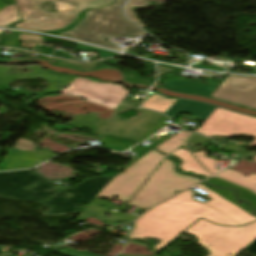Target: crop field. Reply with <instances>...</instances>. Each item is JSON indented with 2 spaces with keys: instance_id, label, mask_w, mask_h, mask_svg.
Wrapping results in <instances>:
<instances>
[{
  "instance_id": "crop-field-1",
  "label": "crop field",
  "mask_w": 256,
  "mask_h": 256,
  "mask_svg": "<svg viewBox=\"0 0 256 256\" xmlns=\"http://www.w3.org/2000/svg\"><path fill=\"white\" fill-rule=\"evenodd\" d=\"M196 187L208 192L213 200L205 204L196 202L187 190L136 220V227L129 238L160 239L161 243L154 247L158 252L200 217L228 226H240L256 220L204 186L199 184Z\"/></svg>"
},
{
  "instance_id": "crop-field-2",
  "label": "crop field",
  "mask_w": 256,
  "mask_h": 256,
  "mask_svg": "<svg viewBox=\"0 0 256 256\" xmlns=\"http://www.w3.org/2000/svg\"><path fill=\"white\" fill-rule=\"evenodd\" d=\"M125 1L117 0L112 5L88 11L86 18L76 28L58 35L122 51L121 48L107 43L103 38L145 34L122 15L121 8Z\"/></svg>"
},
{
  "instance_id": "crop-field-3",
  "label": "crop field",
  "mask_w": 256,
  "mask_h": 256,
  "mask_svg": "<svg viewBox=\"0 0 256 256\" xmlns=\"http://www.w3.org/2000/svg\"><path fill=\"white\" fill-rule=\"evenodd\" d=\"M194 235L210 256H235L256 238V222L242 227H222L202 219L186 231Z\"/></svg>"
},
{
  "instance_id": "crop-field-4",
  "label": "crop field",
  "mask_w": 256,
  "mask_h": 256,
  "mask_svg": "<svg viewBox=\"0 0 256 256\" xmlns=\"http://www.w3.org/2000/svg\"><path fill=\"white\" fill-rule=\"evenodd\" d=\"M198 178L180 175L174 170V164L167 158L157 171L144 184L128 203L142 208H149L197 182Z\"/></svg>"
},
{
  "instance_id": "crop-field-5",
  "label": "crop field",
  "mask_w": 256,
  "mask_h": 256,
  "mask_svg": "<svg viewBox=\"0 0 256 256\" xmlns=\"http://www.w3.org/2000/svg\"><path fill=\"white\" fill-rule=\"evenodd\" d=\"M163 157L155 150L149 152L125 169V173L116 176L96 198L111 199L119 196L117 200L127 202Z\"/></svg>"
},
{
  "instance_id": "crop-field-6",
  "label": "crop field",
  "mask_w": 256,
  "mask_h": 256,
  "mask_svg": "<svg viewBox=\"0 0 256 256\" xmlns=\"http://www.w3.org/2000/svg\"><path fill=\"white\" fill-rule=\"evenodd\" d=\"M37 182L42 183L32 190L25 189L27 185ZM59 189L32 170L0 173V199L34 202L46 199Z\"/></svg>"
},
{
  "instance_id": "crop-field-7",
  "label": "crop field",
  "mask_w": 256,
  "mask_h": 256,
  "mask_svg": "<svg viewBox=\"0 0 256 256\" xmlns=\"http://www.w3.org/2000/svg\"><path fill=\"white\" fill-rule=\"evenodd\" d=\"M113 178H93L75 186L72 190L65 188L51 200L40 203L49 208L43 215L80 214L84 209L76 206L91 202ZM68 191L73 195L71 198L62 196Z\"/></svg>"
},
{
  "instance_id": "crop-field-8",
  "label": "crop field",
  "mask_w": 256,
  "mask_h": 256,
  "mask_svg": "<svg viewBox=\"0 0 256 256\" xmlns=\"http://www.w3.org/2000/svg\"><path fill=\"white\" fill-rule=\"evenodd\" d=\"M195 132L208 137L246 135L256 138V118L217 108L203 126Z\"/></svg>"
},
{
  "instance_id": "crop-field-9",
  "label": "crop field",
  "mask_w": 256,
  "mask_h": 256,
  "mask_svg": "<svg viewBox=\"0 0 256 256\" xmlns=\"http://www.w3.org/2000/svg\"><path fill=\"white\" fill-rule=\"evenodd\" d=\"M127 108L130 107L120 104L112 113L113 118L106 119L94 134L126 137L136 142L163 116L160 113L138 109L141 115L139 118L119 121L115 113Z\"/></svg>"
},
{
  "instance_id": "crop-field-10",
  "label": "crop field",
  "mask_w": 256,
  "mask_h": 256,
  "mask_svg": "<svg viewBox=\"0 0 256 256\" xmlns=\"http://www.w3.org/2000/svg\"><path fill=\"white\" fill-rule=\"evenodd\" d=\"M60 92L82 96L111 109H114L129 93L118 84L92 82L85 78H76L67 89Z\"/></svg>"
},
{
  "instance_id": "crop-field-11",
  "label": "crop field",
  "mask_w": 256,
  "mask_h": 256,
  "mask_svg": "<svg viewBox=\"0 0 256 256\" xmlns=\"http://www.w3.org/2000/svg\"><path fill=\"white\" fill-rule=\"evenodd\" d=\"M211 97L256 109V77L229 76Z\"/></svg>"
},
{
  "instance_id": "crop-field-12",
  "label": "crop field",
  "mask_w": 256,
  "mask_h": 256,
  "mask_svg": "<svg viewBox=\"0 0 256 256\" xmlns=\"http://www.w3.org/2000/svg\"><path fill=\"white\" fill-rule=\"evenodd\" d=\"M33 142L19 139L16 146L12 148L11 155L5 156L4 167L6 170L33 167L39 162L50 159L55 156L51 151H33L35 146Z\"/></svg>"
},
{
  "instance_id": "crop-field-13",
  "label": "crop field",
  "mask_w": 256,
  "mask_h": 256,
  "mask_svg": "<svg viewBox=\"0 0 256 256\" xmlns=\"http://www.w3.org/2000/svg\"><path fill=\"white\" fill-rule=\"evenodd\" d=\"M26 68L33 69V72L29 74H14L12 76H9L6 75L9 67L0 66V85H7L9 81H15L24 78L41 77L46 80L48 85L47 89L42 90L41 93L27 92L22 90H17L15 92H21L26 94H44L59 91V89L56 88L57 85H67L75 78L71 76H62L48 72L46 70L41 69L38 65L26 66Z\"/></svg>"
},
{
  "instance_id": "crop-field-14",
  "label": "crop field",
  "mask_w": 256,
  "mask_h": 256,
  "mask_svg": "<svg viewBox=\"0 0 256 256\" xmlns=\"http://www.w3.org/2000/svg\"><path fill=\"white\" fill-rule=\"evenodd\" d=\"M47 0H16L22 20L69 24L74 14H55L45 12L40 5Z\"/></svg>"
},
{
  "instance_id": "crop-field-15",
  "label": "crop field",
  "mask_w": 256,
  "mask_h": 256,
  "mask_svg": "<svg viewBox=\"0 0 256 256\" xmlns=\"http://www.w3.org/2000/svg\"><path fill=\"white\" fill-rule=\"evenodd\" d=\"M101 201H104L101 203ZM107 200L94 199L88 206H86L84 211L79 215L78 220L84 221L85 218L89 216L96 217L101 222H106L105 225H113L116 221H131L136 217H124V214L111 211V206L107 205ZM100 205L106 206L108 208H103ZM106 212L112 214L111 217H106Z\"/></svg>"
},
{
  "instance_id": "crop-field-16",
  "label": "crop field",
  "mask_w": 256,
  "mask_h": 256,
  "mask_svg": "<svg viewBox=\"0 0 256 256\" xmlns=\"http://www.w3.org/2000/svg\"><path fill=\"white\" fill-rule=\"evenodd\" d=\"M217 107L194 101L177 100L166 113L172 120L181 112L197 115L195 119L206 121Z\"/></svg>"
},
{
  "instance_id": "crop-field-17",
  "label": "crop field",
  "mask_w": 256,
  "mask_h": 256,
  "mask_svg": "<svg viewBox=\"0 0 256 256\" xmlns=\"http://www.w3.org/2000/svg\"><path fill=\"white\" fill-rule=\"evenodd\" d=\"M164 87L172 91H180L210 97L218 86L202 84L198 82L175 80L174 76L170 75L169 81Z\"/></svg>"
},
{
  "instance_id": "crop-field-18",
  "label": "crop field",
  "mask_w": 256,
  "mask_h": 256,
  "mask_svg": "<svg viewBox=\"0 0 256 256\" xmlns=\"http://www.w3.org/2000/svg\"><path fill=\"white\" fill-rule=\"evenodd\" d=\"M67 8L60 13L78 14L83 8H97L112 2L113 0H51Z\"/></svg>"
},
{
  "instance_id": "crop-field-19",
  "label": "crop field",
  "mask_w": 256,
  "mask_h": 256,
  "mask_svg": "<svg viewBox=\"0 0 256 256\" xmlns=\"http://www.w3.org/2000/svg\"><path fill=\"white\" fill-rule=\"evenodd\" d=\"M172 155H175L182 161L180 167L185 172L191 171L197 175L202 174L205 175L206 178L210 176L209 173H207L195 162V160L189 155V153L185 149H179L172 153Z\"/></svg>"
},
{
  "instance_id": "crop-field-20",
  "label": "crop field",
  "mask_w": 256,
  "mask_h": 256,
  "mask_svg": "<svg viewBox=\"0 0 256 256\" xmlns=\"http://www.w3.org/2000/svg\"><path fill=\"white\" fill-rule=\"evenodd\" d=\"M217 176L238 183L240 185L246 186L256 191V174H251L250 176L245 177L238 172L228 169L218 174Z\"/></svg>"
},
{
  "instance_id": "crop-field-21",
  "label": "crop field",
  "mask_w": 256,
  "mask_h": 256,
  "mask_svg": "<svg viewBox=\"0 0 256 256\" xmlns=\"http://www.w3.org/2000/svg\"><path fill=\"white\" fill-rule=\"evenodd\" d=\"M105 121V119L97 116L96 113L91 112L87 116L77 114L74 121L68 123L73 127H87L90 129L97 130L101 124Z\"/></svg>"
},
{
  "instance_id": "crop-field-22",
  "label": "crop field",
  "mask_w": 256,
  "mask_h": 256,
  "mask_svg": "<svg viewBox=\"0 0 256 256\" xmlns=\"http://www.w3.org/2000/svg\"><path fill=\"white\" fill-rule=\"evenodd\" d=\"M177 99H166L164 96L154 93L142 107L153 109L156 111L164 112L172 106Z\"/></svg>"
},
{
  "instance_id": "crop-field-23",
  "label": "crop field",
  "mask_w": 256,
  "mask_h": 256,
  "mask_svg": "<svg viewBox=\"0 0 256 256\" xmlns=\"http://www.w3.org/2000/svg\"><path fill=\"white\" fill-rule=\"evenodd\" d=\"M208 183L218 186V187H226L229 189H239L241 192L239 193L240 198L243 200H247L249 202H251V206L254 207L256 209V195L254 193H252L251 191L247 190V189H243L240 188L238 186L232 185L230 183H227L225 181L219 180L217 178H214L210 181H207Z\"/></svg>"
},
{
  "instance_id": "crop-field-24",
  "label": "crop field",
  "mask_w": 256,
  "mask_h": 256,
  "mask_svg": "<svg viewBox=\"0 0 256 256\" xmlns=\"http://www.w3.org/2000/svg\"><path fill=\"white\" fill-rule=\"evenodd\" d=\"M67 25L63 24H52V23H41V22H29L23 21L15 25L16 28L33 30V31H53L65 28Z\"/></svg>"
},
{
  "instance_id": "crop-field-25",
  "label": "crop field",
  "mask_w": 256,
  "mask_h": 256,
  "mask_svg": "<svg viewBox=\"0 0 256 256\" xmlns=\"http://www.w3.org/2000/svg\"><path fill=\"white\" fill-rule=\"evenodd\" d=\"M101 143L104 144L103 148L113 150V151H125L134 143H132L129 139H123V138H114V137H106L104 139L100 140Z\"/></svg>"
},
{
  "instance_id": "crop-field-26",
  "label": "crop field",
  "mask_w": 256,
  "mask_h": 256,
  "mask_svg": "<svg viewBox=\"0 0 256 256\" xmlns=\"http://www.w3.org/2000/svg\"><path fill=\"white\" fill-rule=\"evenodd\" d=\"M189 136V133L182 131L175 134L173 137L165 141L163 144L157 147V150L166 154L170 153L174 149L178 148Z\"/></svg>"
},
{
  "instance_id": "crop-field-27",
  "label": "crop field",
  "mask_w": 256,
  "mask_h": 256,
  "mask_svg": "<svg viewBox=\"0 0 256 256\" xmlns=\"http://www.w3.org/2000/svg\"><path fill=\"white\" fill-rule=\"evenodd\" d=\"M18 20L19 18L15 5L7 6L0 11V26L8 25Z\"/></svg>"
},
{
  "instance_id": "crop-field-28",
  "label": "crop field",
  "mask_w": 256,
  "mask_h": 256,
  "mask_svg": "<svg viewBox=\"0 0 256 256\" xmlns=\"http://www.w3.org/2000/svg\"><path fill=\"white\" fill-rule=\"evenodd\" d=\"M202 185H204L205 187H207L210 190L214 191L215 193L219 194L220 196L224 197L225 199L229 200L230 202H232L233 204L237 205L238 207H240L241 209H243L244 211H246L250 215L252 214V212L250 210L245 208L246 206H248L247 203L238 204V203L233 201V196L231 194L232 192L230 190H227V189L218 190L216 188H213V187L207 185L206 183H202ZM254 217H256V216H254Z\"/></svg>"
},
{
  "instance_id": "crop-field-29",
  "label": "crop field",
  "mask_w": 256,
  "mask_h": 256,
  "mask_svg": "<svg viewBox=\"0 0 256 256\" xmlns=\"http://www.w3.org/2000/svg\"><path fill=\"white\" fill-rule=\"evenodd\" d=\"M194 155L213 174L221 171V170L215 169L216 162H217L216 160L206 158L205 151H202L200 153H196Z\"/></svg>"
},
{
  "instance_id": "crop-field-30",
  "label": "crop field",
  "mask_w": 256,
  "mask_h": 256,
  "mask_svg": "<svg viewBox=\"0 0 256 256\" xmlns=\"http://www.w3.org/2000/svg\"><path fill=\"white\" fill-rule=\"evenodd\" d=\"M147 4H148L147 1H144V0H131V1L126 5V7H125V10H126L128 16H129V18H130L132 21H134L137 25H139V26H141V27H142L143 25H141V24L139 23L137 17L134 16V14H133L132 11L130 10V8H131L132 6H145V5H147Z\"/></svg>"
},
{
  "instance_id": "crop-field-31",
  "label": "crop field",
  "mask_w": 256,
  "mask_h": 256,
  "mask_svg": "<svg viewBox=\"0 0 256 256\" xmlns=\"http://www.w3.org/2000/svg\"><path fill=\"white\" fill-rule=\"evenodd\" d=\"M76 47L79 48V49L85 50V51H95V52L99 53L101 58H107V57H111V56L117 55V53H113V52L97 49V48L86 46V45H82V44H77Z\"/></svg>"
},
{
  "instance_id": "crop-field-32",
  "label": "crop field",
  "mask_w": 256,
  "mask_h": 256,
  "mask_svg": "<svg viewBox=\"0 0 256 256\" xmlns=\"http://www.w3.org/2000/svg\"><path fill=\"white\" fill-rule=\"evenodd\" d=\"M166 120H168L165 116H163L139 141H143L144 139H146L147 137H149L150 135H152L153 133L156 132V130L159 128L161 129L162 127H164L165 125H167L165 122Z\"/></svg>"
},
{
  "instance_id": "crop-field-33",
  "label": "crop field",
  "mask_w": 256,
  "mask_h": 256,
  "mask_svg": "<svg viewBox=\"0 0 256 256\" xmlns=\"http://www.w3.org/2000/svg\"><path fill=\"white\" fill-rule=\"evenodd\" d=\"M131 151L135 152L136 153V157L135 159L129 164L131 165L132 163H134L136 160H138L139 158H141L142 156H144L146 153H148L149 151H151L152 149H149V148H145V147H142V146H135L134 148L130 149ZM129 165H127L126 167L124 168H121L120 170H123L125 168H127Z\"/></svg>"
},
{
  "instance_id": "crop-field-34",
  "label": "crop field",
  "mask_w": 256,
  "mask_h": 256,
  "mask_svg": "<svg viewBox=\"0 0 256 256\" xmlns=\"http://www.w3.org/2000/svg\"><path fill=\"white\" fill-rule=\"evenodd\" d=\"M58 253H62L65 255H69V256H99V255H95L89 252H79L73 249H65V250H61L58 251Z\"/></svg>"
},
{
  "instance_id": "crop-field-35",
  "label": "crop field",
  "mask_w": 256,
  "mask_h": 256,
  "mask_svg": "<svg viewBox=\"0 0 256 256\" xmlns=\"http://www.w3.org/2000/svg\"><path fill=\"white\" fill-rule=\"evenodd\" d=\"M176 132L170 134H166L164 135L162 138L158 137V136H154L150 139H148V141L152 142L150 145L148 146H153V147H156L158 145H160L162 142H164L165 140H167L168 138H170L172 135H174Z\"/></svg>"
},
{
  "instance_id": "crop-field-36",
  "label": "crop field",
  "mask_w": 256,
  "mask_h": 256,
  "mask_svg": "<svg viewBox=\"0 0 256 256\" xmlns=\"http://www.w3.org/2000/svg\"><path fill=\"white\" fill-rule=\"evenodd\" d=\"M20 39H24V40H35L36 42H38V45L36 46L37 49L40 46V44L43 42V38L34 35V34H20Z\"/></svg>"
},
{
  "instance_id": "crop-field-37",
  "label": "crop field",
  "mask_w": 256,
  "mask_h": 256,
  "mask_svg": "<svg viewBox=\"0 0 256 256\" xmlns=\"http://www.w3.org/2000/svg\"><path fill=\"white\" fill-rule=\"evenodd\" d=\"M158 68L160 70L159 75H164L166 71L171 72V73L182 72L181 69H177V68H173V67H169V66H165V65H161V64H158Z\"/></svg>"
},
{
  "instance_id": "crop-field-38",
  "label": "crop field",
  "mask_w": 256,
  "mask_h": 256,
  "mask_svg": "<svg viewBox=\"0 0 256 256\" xmlns=\"http://www.w3.org/2000/svg\"><path fill=\"white\" fill-rule=\"evenodd\" d=\"M124 74H125L129 79H131V80L136 79V80H144L145 82H149L148 79L138 76L139 74L133 72L132 70L125 71Z\"/></svg>"
},
{
  "instance_id": "crop-field-39",
  "label": "crop field",
  "mask_w": 256,
  "mask_h": 256,
  "mask_svg": "<svg viewBox=\"0 0 256 256\" xmlns=\"http://www.w3.org/2000/svg\"><path fill=\"white\" fill-rule=\"evenodd\" d=\"M204 140H208L207 138L201 137L199 135L193 134V136L190 138V140L188 141V143H192V142H200V141H204Z\"/></svg>"
},
{
  "instance_id": "crop-field-40",
  "label": "crop field",
  "mask_w": 256,
  "mask_h": 256,
  "mask_svg": "<svg viewBox=\"0 0 256 256\" xmlns=\"http://www.w3.org/2000/svg\"><path fill=\"white\" fill-rule=\"evenodd\" d=\"M248 252L256 254V239L247 246Z\"/></svg>"
},
{
  "instance_id": "crop-field-41",
  "label": "crop field",
  "mask_w": 256,
  "mask_h": 256,
  "mask_svg": "<svg viewBox=\"0 0 256 256\" xmlns=\"http://www.w3.org/2000/svg\"><path fill=\"white\" fill-rule=\"evenodd\" d=\"M5 2H7L8 4H14L15 0H4Z\"/></svg>"
},
{
  "instance_id": "crop-field-42",
  "label": "crop field",
  "mask_w": 256,
  "mask_h": 256,
  "mask_svg": "<svg viewBox=\"0 0 256 256\" xmlns=\"http://www.w3.org/2000/svg\"><path fill=\"white\" fill-rule=\"evenodd\" d=\"M251 146H256V139H255V141L253 142V143H251L248 147H251ZM255 157V160H256V156H254Z\"/></svg>"
},
{
  "instance_id": "crop-field-43",
  "label": "crop field",
  "mask_w": 256,
  "mask_h": 256,
  "mask_svg": "<svg viewBox=\"0 0 256 256\" xmlns=\"http://www.w3.org/2000/svg\"><path fill=\"white\" fill-rule=\"evenodd\" d=\"M121 256H137V255H121Z\"/></svg>"
},
{
  "instance_id": "crop-field-44",
  "label": "crop field",
  "mask_w": 256,
  "mask_h": 256,
  "mask_svg": "<svg viewBox=\"0 0 256 256\" xmlns=\"http://www.w3.org/2000/svg\"><path fill=\"white\" fill-rule=\"evenodd\" d=\"M0 170H4L2 166H0Z\"/></svg>"
},
{
  "instance_id": "crop-field-45",
  "label": "crop field",
  "mask_w": 256,
  "mask_h": 256,
  "mask_svg": "<svg viewBox=\"0 0 256 256\" xmlns=\"http://www.w3.org/2000/svg\"><path fill=\"white\" fill-rule=\"evenodd\" d=\"M1 31V30H0Z\"/></svg>"
}]
</instances>
